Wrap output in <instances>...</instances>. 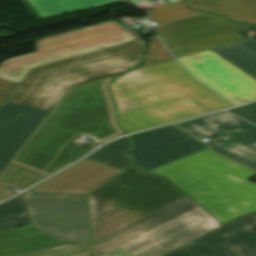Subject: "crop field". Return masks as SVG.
<instances>
[{"mask_svg": "<svg viewBox=\"0 0 256 256\" xmlns=\"http://www.w3.org/2000/svg\"><path fill=\"white\" fill-rule=\"evenodd\" d=\"M178 60L195 77L235 104L256 98V80L210 50Z\"/></svg>", "mask_w": 256, "mask_h": 256, "instance_id": "obj_13", "label": "crop field"}, {"mask_svg": "<svg viewBox=\"0 0 256 256\" xmlns=\"http://www.w3.org/2000/svg\"><path fill=\"white\" fill-rule=\"evenodd\" d=\"M163 256H256V212L237 218Z\"/></svg>", "mask_w": 256, "mask_h": 256, "instance_id": "obj_11", "label": "crop field"}, {"mask_svg": "<svg viewBox=\"0 0 256 256\" xmlns=\"http://www.w3.org/2000/svg\"><path fill=\"white\" fill-rule=\"evenodd\" d=\"M39 16L44 19L124 0H28Z\"/></svg>", "mask_w": 256, "mask_h": 256, "instance_id": "obj_19", "label": "crop field"}, {"mask_svg": "<svg viewBox=\"0 0 256 256\" xmlns=\"http://www.w3.org/2000/svg\"><path fill=\"white\" fill-rule=\"evenodd\" d=\"M192 7L220 14L232 21L256 24V0H187Z\"/></svg>", "mask_w": 256, "mask_h": 256, "instance_id": "obj_17", "label": "crop field"}, {"mask_svg": "<svg viewBox=\"0 0 256 256\" xmlns=\"http://www.w3.org/2000/svg\"><path fill=\"white\" fill-rule=\"evenodd\" d=\"M130 137L134 147L129 155L135 167L147 171L206 148L173 125Z\"/></svg>", "mask_w": 256, "mask_h": 256, "instance_id": "obj_12", "label": "crop field"}, {"mask_svg": "<svg viewBox=\"0 0 256 256\" xmlns=\"http://www.w3.org/2000/svg\"><path fill=\"white\" fill-rule=\"evenodd\" d=\"M153 28L175 58L243 40L238 33L253 29L246 23H234L209 13Z\"/></svg>", "mask_w": 256, "mask_h": 256, "instance_id": "obj_8", "label": "crop field"}, {"mask_svg": "<svg viewBox=\"0 0 256 256\" xmlns=\"http://www.w3.org/2000/svg\"><path fill=\"white\" fill-rule=\"evenodd\" d=\"M90 241L79 242L72 245L51 248L17 256H89Z\"/></svg>", "mask_w": 256, "mask_h": 256, "instance_id": "obj_23", "label": "crop field"}, {"mask_svg": "<svg viewBox=\"0 0 256 256\" xmlns=\"http://www.w3.org/2000/svg\"><path fill=\"white\" fill-rule=\"evenodd\" d=\"M135 39V33L113 20L46 37L35 41L36 52L2 62L0 77L20 83L33 67Z\"/></svg>", "mask_w": 256, "mask_h": 256, "instance_id": "obj_7", "label": "crop field"}, {"mask_svg": "<svg viewBox=\"0 0 256 256\" xmlns=\"http://www.w3.org/2000/svg\"><path fill=\"white\" fill-rule=\"evenodd\" d=\"M31 224L23 193L0 204V230Z\"/></svg>", "mask_w": 256, "mask_h": 256, "instance_id": "obj_20", "label": "crop field"}, {"mask_svg": "<svg viewBox=\"0 0 256 256\" xmlns=\"http://www.w3.org/2000/svg\"><path fill=\"white\" fill-rule=\"evenodd\" d=\"M143 61H144V64L141 65V66H139V67H137L136 69L142 68V67H146V66H149V65H150L148 48L146 49V51H145V53H144Z\"/></svg>", "mask_w": 256, "mask_h": 256, "instance_id": "obj_27", "label": "crop field"}, {"mask_svg": "<svg viewBox=\"0 0 256 256\" xmlns=\"http://www.w3.org/2000/svg\"><path fill=\"white\" fill-rule=\"evenodd\" d=\"M17 85L18 83L0 78V105H3V103L7 100Z\"/></svg>", "mask_w": 256, "mask_h": 256, "instance_id": "obj_26", "label": "crop field"}, {"mask_svg": "<svg viewBox=\"0 0 256 256\" xmlns=\"http://www.w3.org/2000/svg\"><path fill=\"white\" fill-rule=\"evenodd\" d=\"M32 226L62 241L90 240L86 195L24 194Z\"/></svg>", "mask_w": 256, "mask_h": 256, "instance_id": "obj_9", "label": "crop field"}, {"mask_svg": "<svg viewBox=\"0 0 256 256\" xmlns=\"http://www.w3.org/2000/svg\"><path fill=\"white\" fill-rule=\"evenodd\" d=\"M119 123L126 133L231 106L196 81L175 60L131 71L111 82Z\"/></svg>", "mask_w": 256, "mask_h": 256, "instance_id": "obj_2", "label": "crop field"}, {"mask_svg": "<svg viewBox=\"0 0 256 256\" xmlns=\"http://www.w3.org/2000/svg\"><path fill=\"white\" fill-rule=\"evenodd\" d=\"M149 52L151 65L173 59L171 54L156 36L149 37Z\"/></svg>", "mask_w": 256, "mask_h": 256, "instance_id": "obj_24", "label": "crop field"}, {"mask_svg": "<svg viewBox=\"0 0 256 256\" xmlns=\"http://www.w3.org/2000/svg\"><path fill=\"white\" fill-rule=\"evenodd\" d=\"M254 27H256V25H254Z\"/></svg>", "mask_w": 256, "mask_h": 256, "instance_id": "obj_29", "label": "crop field"}, {"mask_svg": "<svg viewBox=\"0 0 256 256\" xmlns=\"http://www.w3.org/2000/svg\"><path fill=\"white\" fill-rule=\"evenodd\" d=\"M213 52L256 79V38L220 46Z\"/></svg>", "mask_w": 256, "mask_h": 256, "instance_id": "obj_18", "label": "crop field"}, {"mask_svg": "<svg viewBox=\"0 0 256 256\" xmlns=\"http://www.w3.org/2000/svg\"><path fill=\"white\" fill-rule=\"evenodd\" d=\"M143 40L31 70L9 102L51 109L69 87L123 73L138 63Z\"/></svg>", "mask_w": 256, "mask_h": 256, "instance_id": "obj_5", "label": "crop field"}, {"mask_svg": "<svg viewBox=\"0 0 256 256\" xmlns=\"http://www.w3.org/2000/svg\"><path fill=\"white\" fill-rule=\"evenodd\" d=\"M1 107V106H0Z\"/></svg>", "mask_w": 256, "mask_h": 256, "instance_id": "obj_30", "label": "crop field"}, {"mask_svg": "<svg viewBox=\"0 0 256 256\" xmlns=\"http://www.w3.org/2000/svg\"><path fill=\"white\" fill-rule=\"evenodd\" d=\"M148 11L150 19L154 21L156 25L203 12L188 8L183 0L161 7L149 9Z\"/></svg>", "mask_w": 256, "mask_h": 256, "instance_id": "obj_22", "label": "crop field"}, {"mask_svg": "<svg viewBox=\"0 0 256 256\" xmlns=\"http://www.w3.org/2000/svg\"><path fill=\"white\" fill-rule=\"evenodd\" d=\"M220 225L186 195L93 243L94 256H161Z\"/></svg>", "mask_w": 256, "mask_h": 256, "instance_id": "obj_4", "label": "crop field"}, {"mask_svg": "<svg viewBox=\"0 0 256 256\" xmlns=\"http://www.w3.org/2000/svg\"><path fill=\"white\" fill-rule=\"evenodd\" d=\"M129 147L130 144L124 137L100 148L87 159L118 169H124L131 164L124 155Z\"/></svg>", "mask_w": 256, "mask_h": 256, "instance_id": "obj_21", "label": "crop field"}, {"mask_svg": "<svg viewBox=\"0 0 256 256\" xmlns=\"http://www.w3.org/2000/svg\"><path fill=\"white\" fill-rule=\"evenodd\" d=\"M186 195L163 176L129 167L89 194L93 242Z\"/></svg>", "mask_w": 256, "mask_h": 256, "instance_id": "obj_6", "label": "crop field"}, {"mask_svg": "<svg viewBox=\"0 0 256 256\" xmlns=\"http://www.w3.org/2000/svg\"><path fill=\"white\" fill-rule=\"evenodd\" d=\"M30 225L0 231V256H13L31 251L67 245Z\"/></svg>", "mask_w": 256, "mask_h": 256, "instance_id": "obj_16", "label": "crop field"}, {"mask_svg": "<svg viewBox=\"0 0 256 256\" xmlns=\"http://www.w3.org/2000/svg\"><path fill=\"white\" fill-rule=\"evenodd\" d=\"M229 112L256 124V102L229 110Z\"/></svg>", "mask_w": 256, "mask_h": 256, "instance_id": "obj_25", "label": "crop field"}, {"mask_svg": "<svg viewBox=\"0 0 256 256\" xmlns=\"http://www.w3.org/2000/svg\"><path fill=\"white\" fill-rule=\"evenodd\" d=\"M118 75L67 90L0 173V200L14 194L7 189L9 185L23 189L94 147H74L69 141L74 136L85 135L97 145L123 133L115 124L105 87Z\"/></svg>", "mask_w": 256, "mask_h": 256, "instance_id": "obj_1", "label": "crop field"}, {"mask_svg": "<svg viewBox=\"0 0 256 256\" xmlns=\"http://www.w3.org/2000/svg\"><path fill=\"white\" fill-rule=\"evenodd\" d=\"M175 125L196 138L217 134L213 151L256 171V126L225 111Z\"/></svg>", "mask_w": 256, "mask_h": 256, "instance_id": "obj_10", "label": "crop field"}, {"mask_svg": "<svg viewBox=\"0 0 256 256\" xmlns=\"http://www.w3.org/2000/svg\"><path fill=\"white\" fill-rule=\"evenodd\" d=\"M167 176L223 224L256 211V173L208 148L152 170Z\"/></svg>", "mask_w": 256, "mask_h": 256, "instance_id": "obj_3", "label": "crop field"}, {"mask_svg": "<svg viewBox=\"0 0 256 256\" xmlns=\"http://www.w3.org/2000/svg\"><path fill=\"white\" fill-rule=\"evenodd\" d=\"M131 3H138V2H141L142 0H130ZM166 3L168 2H171V1H174V0H164Z\"/></svg>", "mask_w": 256, "mask_h": 256, "instance_id": "obj_28", "label": "crop field"}, {"mask_svg": "<svg viewBox=\"0 0 256 256\" xmlns=\"http://www.w3.org/2000/svg\"><path fill=\"white\" fill-rule=\"evenodd\" d=\"M120 172L122 171L85 159L27 191L89 193Z\"/></svg>", "mask_w": 256, "mask_h": 256, "instance_id": "obj_15", "label": "crop field"}, {"mask_svg": "<svg viewBox=\"0 0 256 256\" xmlns=\"http://www.w3.org/2000/svg\"><path fill=\"white\" fill-rule=\"evenodd\" d=\"M49 112L5 102L0 109V172Z\"/></svg>", "mask_w": 256, "mask_h": 256, "instance_id": "obj_14", "label": "crop field"}]
</instances>
